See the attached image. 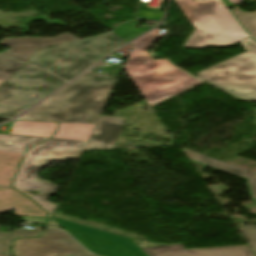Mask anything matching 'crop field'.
Returning <instances> with one entry per match:
<instances>
[{
    "mask_svg": "<svg viewBox=\"0 0 256 256\" xmlns=\"http://www.w3.org/2000/svg\"><path fill=\"white\" fill-rule=\"evenodd\" d=\"M89 72L18 120L96 123L117 80L92 76Z\"/></svg>",
    "mask_w": 256,
    "mask_h": 256,
    "instance_id": "crop-field-1",
    "label": "crop field"
},
{
    "mask_svg": "<svg viewBox=\"0 0 256 256\" xmlns=\"http://www.w3.org/2000/svg\"><path fill=\"white\" fill-rule=\"evenodd\" d=\"M159 36L158 27L130 44L133 48L124 65L125 71L148 102L171 97L202 82L171 66L166 60L153 61L145 51Z\"/></svg>",
    "mask_w": 256,
    "mask_h": 256,
    "instance_id": "crop-field-2",
    "label": "crop field"
},
{
    "mask_svg": "<svg viewBox=\"0 0 256 256\" xmlns=\"http://www.w3.org/2000/svg\"><path fill=\"white\" fill-rule=\"evenodd\" d=\"M195 28L183 48L229 46L246 37L220 0H175Z\"/></svg>",
    "mask_w": 256,
    "mask_h": 256,
    "instance_id": "crop-field-3",
    "label": "crop field"
},
{
    "mask_svg": "<svg viewBox=\"0 0 256 256\" xmlns=\"http://www.w3.org/2000/svg\"><path fill=\"white\" fill-rule=\"evenodd\" d=\"M126 43L114 33L108 32L59 45L54 50L46 48L37 51L27 63L69 81ZM65 49L68 51L60 52ZM84 49L88 51L85 52Z\"/></svg>",
    "mask_w": 256,
    "mask_h": 256,
    "instance_id": "crop-field-4",
    "label": "crop field"
},
{
    "mask_svg": "<svg viewBox=\"0 0 256 256\" xmlns=\"http://www.w3.org/2000/svg\"><path fill=\"white\" fill-rule=\"evenodd\" d=\"M64 83L37 68L19 71L0 87V119H12Z\"/></svg>",
    "mask_w": 256,
    "mask_h": 256,
    "instance_id": "crop-field-5",
    "label": "crop field"
},
{
    "mask_svg": "<svg viewBox=\"0 0 256 256\" xmlns=\"http://www.w3.org/2000/svg\"><path fill=\"white\" fill-rule=\"evenodd\" d=\"M241 43L246 52L197 72V76L226 91L256 100V41Z\"/></svg>",
    "mask_w": 256,
    "mask_h": 256,
    "instance_id": "crop-field-6",
    "label": "crop field"
},
{
    "mask_svg": "<svg viewBox=\"0 0 256 256\" xmlns=\"http://www.w3.org/2000/svg\"><path fill=\"white\" fill-rule=\"evenodd\" d=\"M44 140L46 139L0 134V151L24 154L27 148ZM87 143L82 141L50 139L30 149L26 154L79 160Z\"/></svg>",
    "mask_w": 256,
    "mask_h": 256,
    "instance_id": "crop-field-7",
    "label": "crop field"
},
{
    "mask_svg": "<svg viewBox=\"0 0 256 256\" xmlns=\"http://www.w3.org/2000/svg\"><path fill=\"white\" fill-rule=\"evenodd\" d=\"M75 242L64 232L46 227L41 238L16 240L12 251L14 256H93Z\"/></svg>",
    "mask_w": 256,
    "mask_h": 256,
    "instance_id": "crop-field-8",
    "label": "crop field"
},
{
    "mask_svg": "<svg viewBox=\"0 0 256 256\" xmlns=\"http://www.w3.org/2000/svg\"><path fill=\"white\" fill-rule=\"evenodd\" d=\"M52 160L66 162L67 159L49 158V157H39L26 155L21 167L18 171L16 179L14 181V188L28 194L26 191H41L38 196H31L35 201H37L42 207H44L52 217L55 209L58 205L51 203L48 200L50 195L55 194L56 185L47 182L46 180H41L37 175L42 167L50 164Z\"/></svg>",
    "mask_w": 256,
    "mask_h": 256,
    "instance_id": "crop-field-9",
    "label": "crop field"
},
{
    "mask_svg": "<svg viewBox=\"0 0 256 256\" xmlns=\"http://www.w3.org/2000/svg\"><path fill=\"white\" fill-rule=\"evenodd\" d=\"M78 39L79 38L69 33H65L52 38L26 37V38L4 39L0 43V45L8 46L11 49L6 50L5 53L1 52L0 55L15 59L18 61L26 62L37 50H40L52 45H58V44L78 40Z\"/></svg>",
    "mask_w": 256,
    "mask_h": 256,
    "instance_id": "crop-field-10",
    "label": "crop field"
},
{
    "mask_svg": "<svg viewBox=\"0 0 256 256\" xmlns=\"http://www.w3.org/2000/svg\"><path fill=\"white\" fill-rule=\"evenodd\" d=\"M142 250L149 256H254L247 245L185 250L178 244Z\"/></svg>",
    "mask_w": 256,
    "mask_h": 256,
    "instance_id": "crop-field-11",
    "label": "crop field"
},
{
    "mask_svg": "<svg viewBox=\"0 0 256 256\" xmlns=\"http://www.w3.org/2000/svg\"><path fill=\"white\" fill-rule=\"evenodd\" d=\"M124 120V118L101 115L85 150L112 149Z\"/></svg>",
    "mask_w": 256,
    "mask_h": 256,
    "instance_id": "crop-field-12",
    "label": "crop field"
},
{
    "mask_svg": "<svg viewBox=\"0 0 256 256\" xmlns=\"http://www.w3.org/2000/svg\"><path fill=\"white\" fill-rule=\"evenodd\" d=\"M183 150L188 158L194 163L247 180L251 200L256 202V173L229 165L227 163L192 152L184 148Z\"/></svg>",
    "mask_w": 256,
    "mask_h": 256,
    "instance_id": "crop-field-13",
    "label": "crop field"
},
{
    "mask_svg": "<svg viewBox=\"0 0 256 256\" xmlns=\"http://www.w3.org/2000/svg\"><path fill=\"white\" fill-rule=\"evenodd\" d=\"M16 209L15 214L47 217L48 214L24 194L13 188H0V213Z\"/></svg>",
    "mask_w": 256,
    "mask_h": 256,
    "instance_id": "crop-field-14",
    "label": "crop field"
},
{
    "mask_svg": "<svg viewBox=\"0 0 256 256\" xmlns=\"http://www.w3.org/2000/svg\"><path fill=\"white\" fill-rule=\"evenodd\" d=\"M3 126H8L7 132L0 133L44 138H50L57 129L54 122L14 121Z\"/></svg>",
    "mask_w": 256,
    "mask_h": 256,
    "instance_id": "crop-field-15",
    "label": "crop field"
},
{
    "mask_svg": "<svg viewBox=\"0 0 256 256\" xmlns=\"http://www.w3.org/2000/svg\"><path fill=\"white\" fill-rule=\"evenodd\" d=\"M96 124L59 123L52 138L88 141Z\"/></svg>",
    "mask_w": 256,
    "mask_h": 256,
    "instance_id": "crop-field-16",
    "label": "crop field"
},
{
    "mask_svg": "<svg viewBox=\"0 0 256 256\" xmlns=\"http://www.w3.org/2000/svg\"><path fill=\"white\" fill-rule=\"evenodd\" d=\"M23 154L0 152V186L11 187Z\"/></svg>",
    "mask_w": 256,
    "mask_h": 256,
    "instance_id": "crop-field-17",
    "label": "crop field"
},
{
    "mask_svg": "<svg viewBox=\"0 0 256 256\" xmlns=\"http://www.w3.org/2000/svg\"><path fill=\"white\" fill-rule=\"evenodd\" d=\"M41 226L36 225L34 230L18 229L12 233L0 232V253L11 256L10 248L13 238L16 237H29V236H40L43 232L42 229H38Z\"/></svg>",
    "mask_w": 256,
    "mask_h": 256,
    "instance_id": "crop-field-18",
    "label": "crop field"
},
{
    "mask_svg": "<svg viewBox=\"0 0 256 256\" xmlns=\"http://www.w3.org/2000/svg\"><path fill=\"white\" fill-rule=\"evenodd\" d=\"M232 12L247 30V32L256 38V12H244L237 6H234Z\"/></svg>",
    "mask_w": 256,
    "mask_h": 256,
    "instance_id": "crop-field-19",
    "label": "crop field"
},
{
    "mask_svg": "<svg viewBox=\"0 0 256 256\" xmlns=\"http://www.w3.org/2000/svg\"><path fill=\"white\" fill-rule=\"evenodd\" d=\"M23 63L0 57V86L22 67Z\"/></svg>",
    "mask_w": 256,
    "mask_h": 256,
    "instance_id": "crop-field-20",
    "label": "crop field"
},
{
    "mask_svg": "<svg viewBox=\"0 0 256 256\" xmlns=\"http://www.w3.org/2000/svg\"><path fill=\"white\" fill-rule=\"evenodd\" d=\"M137 24V22H128L116 28L112 32L128 42L133 38L137 37L138 35L142 34L143 32L147 31L143 29H136Z\"/></svg>",
    "mask_w": 256,
    "mask_h": 256,
    "instance_id": "crop-field-21",
    "label": "crop field"
},
{
    "mask_svg": "<svg viewBox=\"0 0 256 256\" xmlns=\"http://www.w3.org/2000/svg\"><path fill=\"white\" fill-rule=\"evenodd\" d=\"M239 229L256 251V226L241 227Z\"/></svg>",
    "mask_w": 256,
    "mask_h": 256,
    "instance_id": "crop-field-22",
    "label": "crop field"
},
{
    "mask_svg": "<svg viewBox=\"0 0 256 256\" xmlns=\"http://www.w3.org/2000/svg\"><path fill=\"white\" fill-rule=\"evenodd\" d=\"M35 20H42L45 21L46 23H48L49 25L52 24H58L61 26H65L66 24L60 20H50L49 18H47L46 16H42V17H34V18H25L22 19V25H23V32H29L27 29L26 24L32 23Z\"/></svg>",
    "mask_w": 256,
    "mask_h": 256,
    "instance_id": "crop-field-23",
    "label": "crop field"
},
{
    "mask_svg": "<svg viewBox=\"0 0 256 256\" xmlns=\"http://www.w3.org/2000/svg\"><path fill=\"white\" fill-rule=\"evenodd\" d=\"M162 15V12L139 10L137 17L143 19L160 20L162 19Z\"/></svg>",
    "mask_w": 256,
    "mask_h": 256,
    "instance_id": "crop-field-24",
    "label": "crop field"
},
{
    "mask_svg": "<svg viewBox=\"0 0 256 256\" xmlns=\"http://www.w3.org/2000/svg\"><path fill=\"white\" fill-rule=\"evenodd\" d=\"M19 216V215H17ZM23 218L21 220H26V221H31V222H36V223H41L44 224L47 218H42V217H32V216H22Z\"/></svg>",
    "mask_w": 256,
    "mask_h": 256,
    "instance_id": "crop-field-25",
    "label": "crop field"
},
{
    "mask_svg": "<svg viewBox=\"0 0 256 256\" xmlns=\"http://www.w3.org/2000/svg\"><path fill=\"white\" fill-rule=\"evenodd\" d=\"M46 224L49 225V226H53V227H58L59 228V225L52 218H49Z\"/></svg>",
    "mask_w": 256,
    "mask_h": 256,
    "instance_id": "crop-field-26",
    "label": "crop field"
},
{
    "mask_svg": "<svg viewBox=\"0 0 256 256\" xmlns=\"http://www.w3.org/2000/svg\"><path fill=\"white\" fill-rule=\"evenodd\" d=\"M231 5H234V4H238V3H241L243 0H228Z\"/></svg>",
    "mask_w": 256,
    "mask_h": 256,
    "instance_id": "crop-field-27",
    "label": "crop field"
},
{
    "mask_svg": "<svg viewBox=\"0 0 256 256\" xmlns=\"http://www.w3.org/2000/svg\"><path fill=\"white\" fill-rule=\"evenodd\" d=\"M223 2H224V4H225L227 7L230 6L229 3H228L226 0H223Z\"/></svg>",
    "mask_w": 256,
    "mask_h": 256,
    "instance_id": "crop-field-28",
    "label": "crop field"
},
{
    "mask_svg": "<svg viewBox=\"0 0 256 256\" xmlns=\"http://www.w3.org/2000/svg\"><path fill=\"white\" fill-rule=\"evenodd\" d=\"M0 256H7V255L0 254Z\"/></svg>",
    "mask_w": 256,
    "mask_h": 256,
    "instance_id": "crop-field-29",
    "label": "crop field"
}]
</instances>
